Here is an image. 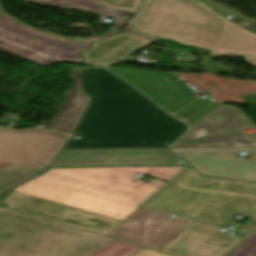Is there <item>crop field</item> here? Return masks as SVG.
<instances>
[{
	"instance_id": "obj_22",
	"label": "crop field",
	"mask_w": 256,
	"mask_h": 256,
	"mask_svg": "<svg viewBox=\"0 0 256 256\" xmlns=\"http://www.w3.org/2000/svg\"><path fill=\"white\" fill-rule=\"evenodd\" d=\"M149 97L154 100L158 105H160L164 110H166L169 114L176 112L180 108L184 107L185 105L196 99L189 96L187 93L151 95Z\"/></svg>"
},
{
	"instance_id": "obj_21",
	"label": "crop field",
	"mask_w": 256,
	"mask_h": 256,
	"mask_svg": "<svg viewBox=\"0 0 256 256\" xmlns=\"http://www.w3.org/2000/svg\"><path fill=\"white\" fill-rule=\"evenodd\" d=\"M29 1L51 4V5H57V6H63V7L84 9V10H88V11H91V12H95V13L110 17V18L114 19L115 21L123 20L120 17L121 14L132 15V13H130V12L105 9V8L92 6V5H87V4L78 3V2L69 1V0H29Z\"/></svg>"
},
{
	"instance_id": "obj_13",
	"label": "crop field",
	"mask_w": 256,
	"mask_h": 256,
	"mask_svg": "<svg viewBox=\"0 0 256 256\" xmlns=\"http://www.w3.org/2000/svg\"><path fill=\"white\" fill-rule=\"evenodd\" d=\"M151 41L131 34H121L117 37L93 43L91 49L83 56L88 65L106 66L120 62L132 50Z\"/></svg>"
},
{
	"instance_id": "obj_9",
	"label": "crop field",
	"mask_w": 256,
	"mask_h": 256,
	"mask_svg": "<svg viewBox=\"0 0 256 256\" xmlns=\"http://www.w3.org/2000/svg\"><path fill=\"white\" fill-rule=\"evenodd\" d=\"M192 222L140 207L108 236L160 250Z\"/></svg>"
},
{
	"instance_id": "obj_25",
	"label": "crop field",
	"mask_w": 256,
	"mask_h": 256,
	"mask_svg": "<svg viewBox=\"0 0 256 256\" xmlns=\"http://www.w3.org/2000/svg\"><path fill=\"white\" fill-rule=\"evenodd\" d=\"M107 8L134 12L139 0H96Z\"/></svg>"
},
{
	"instance_id": "obj_26",
	"label": "crop field",
	"mask_w": 256,
	"mask_h": 256,
	"mask_svg": "<svg viewBox=\"0 0 256 256\" xmlns=\"http://www.w3.org/2000/svg\"><path fill=\"white\" fill-rule=\"evenodd\" d=\"M89 46L88 44L59 53L58 62L81 64L82 58L80 52L88 49Z\"/></svg>"
},
{
	"instance_id": "obj_28",
	"label": "crop field",
	"mask_w": 256,
	"mask_h": 256,
	"mask_svg": "<svg viewBox=\"0 0 256 256\" xmlns=\"http://www.w3.org/2000/svg\"><path fill=\"white\" fill-rule=\"evenodd\" d=\"M211 55L245 57L246 62L256 66V55H243V54H230V53H217V52H211Z\"/></svg>"
},
{
	"instance_id": "obj_5",
	"label": "crop field",
	"mask_w": 256,
	"mask_h": 256,
	"mask_svg": "<svg viewBox=\"0 0 256 256\" xmlns=\"http://www.w3.org/2000/svg\"><path fill=\"white\" fill-rule=\"evenodd\" d=\"M110 240L0 207V256H86Z\"/></svg>"
},
{
	"instance_id": "obj_1",
	"label": "crop field",
	"mask_w": 256,
	"mask_h": 256,
	"mask_svg": "<svg viewBox=\"0 0 256 256\" xmlns=\"http://www.w3.org/2000/svg\"><path fill=\"white\" fill-rule=\"evenodd\" d=\"M93 98L64 149L169 147L186 126L104 68L83 69Z\"/></svg>"
},
{
	"instance_id": "obj_30",
	"label": "crop field",
	"mask_w": 256,
	"mask_h": 256,
	"mask_svg": "<svg viewBox=\"0 0 256 256\" xmlns=\"http://www.w3.org/2000/svg\"><path fill=\"white\" fill-rule=\"evenodd\" d=\"M133 256H169V255H165V254H161V253H157V252H153V251H149V250H141L140 252L136 253Z\"/></svg>"
},
{
	"instance_id": "obj_10",
	"label": "crop field",
	"mask_w": 256,
	"mask_h": 256,
	"mask_svg": "<svg viewBox=\"0 0 256 256\" xmlns=\"http://www.w3.org/2000/svg\"><path fill=\"white\" fill-rule=\"evenodd\" d=\"M171 148L62 150L51 166L179 164Z\"/></svg>"
},
{
	"instance_id": "obj_17",
	"label": "crop field",
	"mask_w": 256,
	"mask_h": 256,
	"mask_svg": "<svg viewBox=\"0 0 256 256\" xmlns=\"http://www.w3.org/2000/svg\"><path fill=\"white\" fill-rule=\"evenodd\" d=\"M173 147H256V134L241 132L182 143Z\"/></svg>"
},
{
	"instance_id": "obj_32",
	"label": "crop field",
	"mask_w": 256,
	"mask_h": 256,
	"mask_svg": "<svg viewBox=\"0 0 256 256\" xmlns=\"http://www.w3.org/2000/svg\"><path fill=\"white\" fill-rule=\"evenodd\" d=\"M13 163L0 162V168H11Z\"/></svg>"
},
{
	"instance_id": "obj_6",
	"label": "crop field",
	"mask_w": 256,
	"mask_h": 256,
	"mask_svg": "<svg viewBox=\"0 0 256 256\" xmlns=\"http://www.w3.org/2000/svg\"><path fill=\"white\" fill-rule=\"evenodd\" d=\"M74 1L104 7L95 0ZM80 45L83 44L31 30L0 12V49L41 66L56 63L58 52Z\"/></svg>"
},
{
	"instance_id": "obj_11",
	"label": "crop field",
	"mask_w": 256,
	"mask_h": 256,
	"mask_svg": "<svg viewBox=\"0 0 256 256\" xmlns=\"http://www.w3.org/2000/svg\"><path fill=\"white\" fill-rule=\"evenodd\" d=\"M228 232L194 222L160 251L178 256H222L245 236L238 239L226 235Z\"/></svg>"
},
{
	"instance_id": "obj_31",
	"label": "crop field",
	"mask_w": 256,
	"mask_h": 256,
	"mask_svg": "<svg viewBox=\"0 0 256 256\" xmlns=\"http://www.w3.org/2000/svg\"><path fill=\"white\" fill-rule=\"evenodd\" d=\"M256 227V222L248 221L243 227H241L238 231L243 233H249L252 229Z\"/></svg>"
},
{
	"instance_id": "obj_20",
	"label": "crop field",
	"mask_w": 256,
	"mask_h": 256,
	"mask_svg": "<svg viewBox=\"0 0 256 256\" xmlns=\"http://www.w3.org/2000/svg\"><path fill=\"white\" fill-rule=\"evenodd\" d=\"M199 173L206 176H214L228 179H236L243 181L256 182V172L227 169V168H218V167H209V166H200L192 165Z\"/></svg>"
},
{
	"instance_id": "obj_2",
	"label": "crop field",
	"mask_w": 256,
	"mask_h": 256,
	"mask_svg": "<svg viewBox=\"0 0 256 256\" xmlns=\"http://www.w3.org/2000/svg\"><path fill=\"white\" fill-rule=\"evenodd\" d=\"M185 166L57 168L12 190L123 221L165 182L134 179L149 174L168 181Z\"/></svg>"
},
{
	"instance_id": "obj_23",
	"label": "crop field",
	"mask_w": 256,
	"mask_h": 256,
	"mask_svg": "<svg viewBox=\"0 0 256 256\" xmlns=\"http://www.w3.org/2000/svg\"><path fill=\"white\" fill-rule=\"evenodd\" d=\"M141 248L142 247L114 239L88 256H130Z\"/></svg>"
},
{
	"instance_id": "obj_29",
	"label": "crop field",
	"mask_w": 256,
	"mask_h": 256,
	"mask_svg": "<svg viewBox=\"0 0 256 256\" xmlns=\"http://www.w3.org/2000/svg\"><path fill=\"white\" fill-rule=\"evenodd\" d=\"M175 149L227 150V151H256V148H175Z\"/></svg>"
},
{
	"instance_id": "obj_24",
	"label": "crop field",
	"mask_w": 256,
	"mask_h": 256,
	"mask_svg": "<svg viewBox=\"0 0 256 256\" xmlns=\"http://www.w3.org/2000/svg\"><path fill=\"white\" fill-rule=\"evenodd\" d=\"M226 256H256V230Z\"/></svg>"
},
{
	"instance_id": "obj_27",
	"label": "crop field",
	"mask_w": 256,
	"mask_h": 256,
	"mask_svg": "<svg viewBox=\"0 0 256 256\" xmlns=\"http://www.w3.org/2000/svg\"><path fill=\"white\" fill-rule=\"evenodd\" d=\"M124 23L125 22L116 23L115 26L112 28V30L109 33L104 34V35H100V36H97V37H94V38H90V39H87V40H83L80 43L87 44V43H90V42H93V41H96V40H99V39H102V38H106V37L115 35L119 32V29L123 26Z\"/></svg>"
},
{
	"instance_id": "obj_3",
	"label": "crop field",
	"mask_w": 256,
	"mask_h": 256,
	"mask_svg": "<svg viewBox=\"0 0 256 256\" xmlns=\"http://www.w3.org/2000/svg\"><path fill=\"white\" fill-rule=\"evenodd\" d=\"M196 1L145 0L132 25L136 32L200 49L256 54L255 34Z\"/></svg>"
},
{
	"instance_id": "obj_19",
	"label": "crop field",
	"mask_w": 256,
	"mask_h": 256,
	"mask_svg": "<svg viewBox=\"0 0 256 256\" xmlns=\"http://www.w3.org/2000/svg\"><path fill=\"white\" fill-rule=\"evenodd\" d=\"M220 104L215 101L197 99L173 116L191 125Z\"/></svg>"
},
{
	"instance_id": "obj_15",
	"label": "crop field",
	"mask_w": 256,
	"mask_h": 256,
	"mask_svg": "<svg viewBox=\"0 0 256 256\" xmlns=\"http://www.w3.org/2000/svg\"><path fill=\"white\" fill-rule=\"evenodd\" d=\"M80 70L71 71L73 83L64 98L49 128L72 133L90 98L82 91L79 82Z\"/></svg>"
},
{
	"instance_id": "obj_18",
	"label": "crop field",
	"mask_w": 256,
	"mask_h": 256,
	"mask_svg": "<svg viewBox=\"0 0 256 256\" xmlns=\"http://www.w3.org/2000/svg\"><path fill=\"white\" fill-rule=\"evenodd\" d=\"M45 168L0 169V194L40 174Z\"/></svg>"
},
{
	"instance_id": "obj_4",
	"label": "crop field",
	"mask_w": 256,
	"mask_h": 256,
	"mask_svg": "<svg viewBox=\"0 0 256 256\" xmlns=\"http://www.w3.org/2000/svg\"><path fill=\"white\" fill-rule=\"evenodd\" d=\"M145 205L218 226L235 213L256 221V184L201 177L189 166Z\"/></svg>"
},
{
	"instance_id": "obj_14",
	"label": "crop field",
	"mask_w": 256,
	"mask_h": 256,
	"mask_svg": "<svg viewBox=\"0 0 256 256\" xmlns=\"http://www.w3.org/2000/svg\"><path fill=\"white\" fill-rule=\"evenodd\" d=\"M109 70L127 80L146 95L191 91L182 81L169 83L164 80V77H176L175 73L111 67Z\"/></svg>"
},
{
	"instance_id": "obj_16",
	"label": "crop field",
	"mask_w": 256,
	"mask_h": 256,
	"mask_svg": "<svg viewBox=\"0 0 256 256\" xmlns=\"http://www.w3.org/2000/svg\"><path fill=\"white\" fill-rule=\"evenodd\" d=\"M186 160L193 164L227 167L256 171L255 160H239L238 153L224 152H195V151H178Z\"/></svg>"
},
{
	"instance_id": "obj_8",
	"label": "crop field",
	"mask_w": 256,
	"mask_h": 256,
	"mask_svg": "<svg viewBox=\"0 0 256 256\" xmlns=\"http://www.w3.org/2000/svg\"><path fill=\"white\" fill-rule=\"evenodd\" d=\"M0 206L107 236L122 222L28 195L8 192Z\"/></svg>"
},
{
	"instance_id": "obj_7",
	"label": "crop field",
	"mask_w": 256,
	"mask_h": 256,
	"mask_svg": "<svg viewBox=\"0 0 256 256\" xmlns=\"http://www.w3.org/2000/svg\"><path fill=\"white\" fill-rule=\"evenodd\" d=\"M68 138V135L41 128L0 127V161L15 162L13 168L49 165Z\"/></svg>"
},
{
	"instance_id": "obj_12",
	"label": "crop field",
	"mask_w": 256,
	"mask_h": 256,
	"mask_svg": "<svg viewBox=\"0 0 256 256\" xmlns=\"http://www.w3.org/2000/svg\"><path fill=\"white\" fill-rule=\"evenodd\" d=\"M254 126L237 108L222 104L195 122L179 141H187Z\"/></svg>"
}]
</instances>
